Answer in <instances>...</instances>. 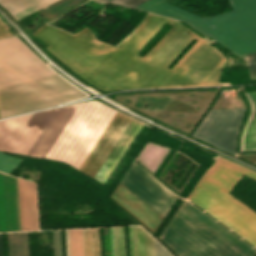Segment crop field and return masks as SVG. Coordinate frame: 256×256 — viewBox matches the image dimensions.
<instances>
[{
	"label": "crop field",
	"mask_w": 256,
	"mask_h": 256,
	"mask_svg": "<svg viewBox=\"0 0 256 256\" xmlns=\"http://www.w3.org/2000/svg\"><path fill=\"white\" fill-rule=\"evenodd\" d=\"M21 231L37 230L34 184L18 178Z\"/></svg>",
	"instance_id": "crop-field-12"
},
{
	"label": "crop field",
	"mask_w": 256,
	"mask_h": 256,
	"mask_svg": "<svg viewBox=\"0 0 256 256\" xmlns=\"http://www.w3.org/2000/svg\"><path fill=\"white\" fill-rule=\"evenodd\" d=\"M71 256H83L82 230H70Z\"/></svg>",
	"instance_id": "crop-field-19"
},
{
	"label": "crop field",
	"mask_w": 256,
	"mask_h": 256,
	"mask_svg": "<svg viewBox=\"0 0 256 256\" xmlns=\"http://www.w3.org/2000/svg\"><path fill=\"white\" fill-rule=\"evenodd\" d=\"M9 256H28L27 232L8 233Z\"/></svg>",
	"instance_id": "crop-field-16"
},
{
	"label": "crop field",
	"mask_w": 256,
	"mask_h": 256,
	"mask_svg": "<svg viewBox=\"0 0 256 256\" xmlns=\"http://www.w3.org/2000/svg\"><path fill=\"white\" fill-rule=\"evenodd\" d=\"M20 231L17 178L0 172V232Z\"/></svg>",
	"instance_id": "crop-field-11"
},
{
	"label": "crop field",
	"mask_w": 256,
	"mask_h": 256,
	"mask_svg": "<svg viewBox=\"0 0 256 256\" xmlns=\"http://www.w3.org/2000/svg\"><path fill=\"white\" fill-rule=\"evenodd\" d=\"M251 112L240 137V151H256V92L244 93Z\"/></svg>",
	"instance_id": "crop-field-13"
},
{
	"label": "crop field",
	"mask_w": 256,
	"mask_h": 256,
	"mask_svg": "<svg viewBox=\"0 0 256 256\" xmlns=\"http://www.w3.org/2000/svg\"><path fill=\"white\" fill-rule=\"evenodd\" d=\"M17 37L0 40V88L56 75ZM87 96L59 75L0 89V118Z\"/></svg>",
	"instance_id": "crop-field-2"
},
{
	"label": "crop field",
	"mask_w": 256,
	"mask_h": 256,
	"mask_svg": "<svg viewBox=\"0 0 256 256\" xmlns=\"http://www.w3.org/2000/svg\"><path fill=\"white\" fill-rule=\"evenodd\" d=\"M85 256H101L99 228L83 229Z\"/></svg>",
	"instance_id": "crop-field-17"
},
{
	"label": "crop field",
	"mask_w": 256,
	"mask_h": 256,
	"mask_svg": "<svg viewBox=\"0 0 256 256\" xmlns=\"http://www.w3.org/2000/svg\"><path fill=\"white\" fill-rule=\"evenodd\" d=\"M243 174L256 179L255 173L219 158L187 198L256 246V213L229 194Z\"/></svg>",
	"instance_id": "crop-field-5"
},
{
	"label": "crop field",
	"mask_w": 256,
	"mask_h": 256,
	"mask_svg": "<svg viewBox=\"0 0 256 256\" xmlns=\"http://www.w3.org/2000/svg\"><path fill=\"white\" fill-rule=\"evenodd\" d=\"M77 106L0 121V151L43 158Z\"/></svg>",
	"instance_id": "crop-field-7"
},
{
	"label": "crop field",
	"mask_w": 256,
	"mask_h": 256,
	"mask_svg": "<svg viewBox=\"0 0 256 256\" xmlns=\"http://www.w3.org/2000/svg\"><path fill=\"white\" fill-rule=\"evenodd\" d=\"M116 114L95 101L79 104L44 158L79 170Z\"/></svg>",
	"instance_id": "crop-field-6"
},
{
	"label": "crop field",
	"mask_w": 256,
	"mask_h": 256,
	"mask_svg": "<svg viewBox=\"0 0 256 256\" xmlns=\"http://www.w3.org/2000/svg\"><path fill=\"white\" fill-rule=\"evenodd\" d=\"M202 18L182 2L168 0ZM234 11L201 19L165 0H150L135 9L180 19L221 44L236 56L256 52V0H229ZM245 61L250 77L256 76V53L239 56ZM250 78V80H254Z\"/></svg>",
	"instance_id": "crop-field-3"
},
{
	"label": "crop field",
	"mask_w": 256,
	"mask_h": 256,
	"mask_svg": "<svg viewBox=\"0 0 256 256\" xmlns=\"http://www.w3.org/2000/svg\"><path fill=\"white\" fill-rule=\"evenodd\" d=\"M154 247H155V256H171L155 240H154Z\"/></svg>",
	"instance_id": "crop-field-24"
},
{
	"label": "crop field",
	"mask_w": 256,
	"mask_h": 256,
	"mask_svg": "<svg viewBox=\"0 0 256 256\" xmlns=\"http://www.w3.org/2000/svg\"><path fill=\"white\" fill-rule=\"evenodd\" d=\"M22 160L0 153V170L10 173Z\"/></svg>",
	"instance_id": "crop-field-20"
},
{
	"label": "crop field",
	"mask_w": 256,
	"mask_h": 256,
	"mask_svg": "<svg viewBox=\"0 0 256 256\" xmlns=\"http://www.w3.org/2000/svg\"><path fill=\"white\" fill-rule=\"evenodd\" d=\"M142 126L118 112L79 171L104 184Z\"/></svg>",
	"instance_id": "crop-field-8"
},
{
	"label": "crop field",
	"mask_w": 256,
	"mask_h": 256,
	"mask_svg": "<svg viewBox=\"0 0 256 256\" xmlns=\"http://www.w3.org/2000/svg\"><path fill=\"white\" fill-rule=\"evenodd\" d=\"M0 256H2V242H1V234H0Z\"/></svg>",
	"instance_id": "crop-field-26"
},
{
	"label": "crop field",
	"mask_w": 256,
	"mask_h": 256,
	"mask_svg": "<svg viewBox=\"0 0 256 256\" xmlns=\"http://www.w3.org/2000/svg\"><path fill=\"white\" fill-rule=\"evenodd\" d=\"M158 239L176 256H253L256 253L185 201Z\"/></svg>",
	"instance_id": "crop-field-4"
},
{
	"label": "crop field",
	"mask_w": 256,
	"mask_h": 256,
	"mask_svg": "<svg viewBox=\"0 0 256 256\" xmlns=\"http://www.w3.org/2000/svg\"><path fill=\"white\" fill-rule=\"evenodd\" d=\"M158 181L134 161L120 183L164 217L178 196Z\"/></svg>",
	"instance_id": "crop-field-10"
},
{
	"label": "crop field",
	"mask_w": 256,
	"mask_h": 256,
	"mask_svg": "<svg viewBox=\"0 0 256 256\" xmlns=\"http://www.w3.org/2000/svg\"><path fill=\"white\" fill-rule=\"evenodd\" d=\"M106 256H126L124 227L104 228Z\"/></svg>",
	"instance_id": "crop-field-15"
},
{
	"label": "crop field",
	"mask_w": 256,
	"mask_h": 256,
	"mask_svg": "<svg viewBox=\"0 0 256 256\" xmlns=\"http://www.w3.org/2000/svg\"><path fill=\"white\" fill-rule=\"evenodd\" d=\"M245 108L210 110L193 137L235 155V143Z\"/></svg>",
	"instance_id": "crop-field-9"
},
{
	"label": "crop field",
	"mask_w": 256,
	"mask_h": 256,
	"mask_svg": "<svg viewBox=\"0 0 256 256\" xmlns=\"http://www.w3.org/2000/svg\"><path fill=\"white\" fill-rule=\"evenodd\" d=\"M101 1L109 2V1H111V0H101Z\"/></svg>",
	"instance_id": "crop-field-27"
},
{
	"label": "crop field",
	"mask_w": 256,
	"mask_h": 256,
	"mask_svg": "<svg viewBox=\"0 0 256 256\" xmlns=\"http://www.w3.org/2000/svg\"><path fill=\"white\" fill-rule=\"evenodd\" d=\"M40 0H0V4L12 15Z\"/></svg>",
	"instance_id": "crop-field-18"
},
{
	"label": "crop field",
	"mask_w": 256,
	"mask_h": 256,
	"mask_svg": "<svg viewBox=\"0 0 256 256\" xmlns=\"http://www.w3.org/2000/svg\"><path fill=\"white\" fill-rule=\"evenodd\" d=\"M11 31L0 20V37L11 35Z\"/></svg>",
	"instance_id": "crop-field-25"
},
{
	"label": "crop field",
	"mask_w": 256,
	"mask_h": 256,
	"mask_svg": "<svg viewBox=\"0 0 256 256\" xmlns=\"http://www.w3.org/2000/svg\"><path fill=\"white\" fill-rule=\"evenodd\" d=\"M54 1H56V0H43V1H41V2L31 6L29 8H27V9H25V10L15 14V15H13V17H15L18 20V19H20V18H22V17H24V16H26V15L36 11V10H38V9H40V8H42V7L46 6V5L54 2Z\"/></svg>",
	"instance_id": "crop-field-21"
},
{
	"label": "crop field",
	"mask_w": 256,
	"mask_h": 256,
	"mask_svg": "<svg viewBox=\"0 0 256 256\" xmlns=\"http://www.w3.org/2000/svg\"><path fill=\"white\" fill-rule=\"evenodd\" d=\"M54 256H62L61 231H52Z\"/></svg>",
	"instance_id": "crop-field-22"
},
{
	"label": "crop field",
	"mask_w": 256,
	"mask_h": 256,
	"mask_svg": "<svg viewBox=\"0 0 256 256\" xmlns=\"http://www.w3.org/2000/svg\"><path fill=\"white\" fill-rule=\"evenodd\" d=\"M146 1H148V0H114L111 3H115V4H119V5L134 8V7L144 3Z\"/></svg>",
	"instance_id": "crop-field-23"
},
{
	"label": "crop field",
	"mask_w": 256,
	"mask_h": 256,
	"mask_svg": "<svg viewBox=\"0 0 256 256\" xmlns=\"http://www.w3.org/2000/svg\"><path fill=\"white\" fill-rule=\"evenodd\" d=\"M168 20L148 13L116 47L97 40L87 28L71 35L44 24L33 35L48 43L47 49L68 67L105 91L218 85L227 58L202 37L167 69L197 36L180 22L144 59L136 56Z\"/></svg>",
	"instance_id": "crop-field-1"
},
{
	"label": "crop field",
	"mask_w": 256,
	"mask_h": 256,
	"mask_svg": "<svg viewBox=\"0 0 256 256\" xmlns=\"http://www.w3.org/2000/svg\"><path fill=\"white\" fill-rule=\"evenodd\" d=\"M130 256H154L153 238L141 227H129Z\"/></svg>",
	"instance_id": "crop-field-14"
}]
</instances>
